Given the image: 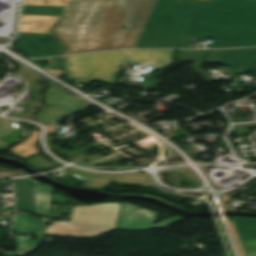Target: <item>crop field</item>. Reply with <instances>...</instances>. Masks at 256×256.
I'll use <instances>...</instances> for the list:
<instances>
[{"instance_id": "crop-field-18", "label": "crop field", "mask_w": 256, "mask_h": 256, "mask_svg": "<svg viewBox=\"0 0 256 256\" xmlns=\"http://www.w3.org/2000/svg\"><path fill=\"white\" fill-rule=\"evenodd\" d=\"M19 127L16 125L13 120L10 119H2L0 118V137L7 134L8 132L14 130ZM12 144L0 141V151L11 146Z\"/></svg>"}, {"instance_id": "crop-field-7", "label": "crop field", "mask_w": 256, "mask_h": 256, "mask_svg": "<svg viewBox=\"0 0 256 256\" xmlns=\"http://www.w3.org/2000/svg\"><path fill=\"white\" fill-rule=\"evenodd\" d=\"M16 50L36 58L59 55L63 48L52 34L19 33Z\"/></svg>"}, {"instance_id": "crop-field-10", "label": "crop field", "mask_w": 256, "mask_h": 256, "mask_svg": "<svg viewBox=\"0 0 256 256\" xmlns=\"http://www.w3.org/2000/svg\"><path fill=\"white\" fill-rule=\"evenodd\" d=\"M32 179L14 180L15 198L18 210L36 215L33 187L40 185V183Z\"/></svg>"}, {"instance_id": "crop-field-6", "label": "crop field", "mask_w": 256, "mask_h": 256, "mask_svg": "<svg viewBox=\"0 0 256 256\" xmlns=\"http://www.w3.org/2000/svg\"><path fill=\"white\" fill-rule=\"evenodd\" d=\"M70 171L71 175L79 177L88 181L81 185L83 187L99 188L103 189L111 182L115 181L119 184H131V185H146L155 187L146 173H130V174H105V173H92L84 172L76 169L69 168L64 172ZM108 175V176H106Z\"/></svg>"}, {"instance_id": "crop-field-20", "label": "crop field", "mask_w": 256, "mask_h": 256, "mask_svg": "<svg viewBox=\"0 0 256 256\" xmlns=\"http://www.w3.org/2000/svg\"><path fill=\"white\" fill-rule=\"evenodd\" d=\"M241 243L246 255L256 253V239L243 241Z\"/></svg>"}, {"instance_id": "crop-field-14", "label": "crop field", "mask_w": 256, "mask_h": 256, "mask_svg": "<svg viewBox=\"0 0 256 256\" xmlns=\"http://www.w3.org/2000/svg\"><path fill=\"white\" fill-rule=\"evenodd\" d=\"M67 6L23 5L22 15L61 16Z\"/></svg>"}, {"instance_id": "crop-field-8", "label": "crop field", "mask_w": 256, "mask_h": 256, "mask_svg": "<svg viewBox=\"0 0 256 256\" xmlns=\"http://www.w3.org/2000/svg\"><path fill=\"white\" fill-rule=\"evenodd\" d=\"M206 62L230 66L242 74L256 69V48L236 50H213Z\"/></svg>"}, {"instance_id": "crop-field-3", "label": "crop field", "mask_w": 256, "mask_h": 256, "mask_svg": "<svg viewBox=\"0 0 256 256\" xmlns=\"http://www.w3.org/2000/svg\"><path fill=\"white\" fill-rule=\"evenodd\" d=\"M172 50L117 51L64 57L67 76L87 85L99 80L115 86L122 63H150L163 68L170 65Z\"/></svg>"}, {"instance_id": "crop-field-21", "label": "crop field", "mask_w": 256, "mask_h": 256, "mask_svg": "<svg viewBox=\"0 0 256 256\" xmlns=\"http://www.w3.org/2000/svg\"><path fill=\"white\" fill-rule=\"evenodd\" d=\"M22 175H26V173L21 170L11 171L9 169L0 168V177H16Z\"/></svg>"}, {"instance_id": "crop-field-2", "label": "crop field", "mask_w": 256, "mask_h": 256, "mask_svg": "<svg viewBox=\"0 0 256 256\" xmlns=\"http://www.w3.org/2000/svg\"><path fill=\"white\" fill-rule=\"evenodd\" d=\"M155 1H73L68 13L53 28L67 47L63 55L134 48ZM121 25L128 29L123 30Z\"/></svg>"}, {"instance_id": "crop-field-11", "label": "crop field", "mask_w": 256, "mask_h": 256, "mask_svg": "<svg viewBox=\"0 0 256 256\" xmlns=\"http://www.w3.org/2000/svg\"><path fill=\"white\" fill-rule=\"evenodd\" d=\"M44 223V220L18 213L13 223L12 231L16 233L32 232L37 237H42Z\"/></svg>"}, {"instance_id": "crop-field-19", "label": "crop field", "mask_w": 256, "mask_h": 256, "mask_svg": "<svg viewBox=\"0 0 256 256\" xmlns=\"http://www.w3.org/2000/svg\"><path fill=\"white\" fill-rule=\"evenodd\" d=\"M28 162H30L31 164H33L34 166H36L37 168H39L42 171L56 167L39 156L28 160Z\"/></svg>"}, {"instance_id": "crop-field-5", "label": "crop field", "mask_w": 256, "mask_h": 256, "mask_svg": "<svg viewBox=\"0 0 256 256\" xmlns=\"http://www.w3.org/2000/svg\"><path fill=\"white\" fill-rule=\"evenodd\" d=\"M157 213L141 208L134 204L123 202L121 205L116 229L120 230H151L165 228L186 218L176 216L167 221L154 225Z\"/></svg>"}, {"instance_id": "crop-field-15", "label": "crop field", "mask_w": 256, "mask_h": 256, "mask_svg": "<svg viewBox=\"0 0 256 256\" xmlns=\"http://www.w3.org/2000/svg\"><path fill=\"white\" fill-rule=\"evenodd\" d=\"M40 132L33 131L30 138L22 142L21 144L11 148V153L20 156L27 157L31 154L38 152L35 146V140L38 137Z\"/></svg>"}, {"instance_id": "crop-field-9", "label": "crop field", "mask_w": 256, "mask_h": 256, "mask_svg": "<svg viewBox=\"0 0 256 256\" xmlns=\"http://www.w3.org/2000/svg\"><path fill=\"white\" fill-rule=\"evenodd\" d=\"M45 103L48 108L68 115L78 113L82 109L90 106L88 103L82 104L81 100L53 85H48V89L45 93Z\"/></svg>"}, {"instance_id": "crop-field-22", "label": "crop field", "mask_w": 256, "mask_h": 256, "mask_svg": "<svg viewBox=\"0 0 256 256\" xmlns=\"http://www.w3.org/2000/svg\"><path fill=\"white\" fill-rule=\"evenodd\" d=\"M250 256H256V254L250 255Z\"/></svg>"}, {"instance_id": "crop-field-4", "label": "crop field", "mask_w": 256, "mask_h": 256, "mask_svg": "<svg viewBox=\"0 0 256 256\" xmlns=\"http://www.w3.org/2000/svg\"><path fill=\"white\" fill-rule=\"evenodd\" d=\"M120 204L75 206L70 223L52 222L45 235L94 237L114 230Z\"/></svg>"}, {"instance_id": "crop-field-17", "label": "crop field", "mask_w": 256, "mask_h": 256, "mask_svg": "<svg viewBox=\"0 0 256 256\" xmlns=\"http://www.w3.org/2000/svg\"><path fill=\"white\" fill-rule=\"evenodd\" d=\"M65 116L59 112L53 111L48 108H42L41 112L35 116V120L43 124H52L57 122L60 118Z\"/></svg>"}, {"instance_id": "crop-field-16", "label": "crop field", "mask_w": 256, "mask_h": 256, "mask_svg": "<svg viewBox=\"0 0 256 256\" xmlns=\"http://www.w3.org/2000/svg\"><path fill=\"white\" fill-rule=\"evenodd\" d=\"M16 242H17V255L16 256H25L29 252H33L43 241V238H37L34 241L28 242L19 239L17 236H15Z\"/></svg>"}, {"instance_id": "crop-field-13", "label": "crop field", "mask_w": 256, "mask_h": 256, "mask_svg": "<svg viewBox=\"0 0 256 256\" xmlns=\"http://www.w3.org/2000/svg\"><path fill=\"white\" fill-rule=\"evenodd\" d=\"M232 218L238 235L241 233L244 234L242 236L239 235L241 241L256 238V219L244 217Z\"/></svg>"}, {"instance_id": "crop-field-1", "label": "crop field", "mask_w": 256, "mask_h": 256, "mask_svg": "<svg viewBox=\"0 0 256 256\" xmlns=\"http://www.w3.org/2000/svg\"><path fill=\"white\" fill-rule=\"evenodd\" d=\"M202 37H213L210 48L256 46V1L157 0L136 48H187Z\"/></svg>"}, {"instance_id": "crop-field-12", "label": "crop field", "mask_w": 256, "mask_h": 256, "mask_svg": "<svg viewBox=\"0 0 256 256\" xmlns=\"http://www.w3.org/2000/svg\"><path fill=\"white\" fill-rule=\"evenodd\" d=\"M52 192L53 187L46 184L34 188L36 211L38 216L48 219Z\"/></svg>"}]
</instances>
